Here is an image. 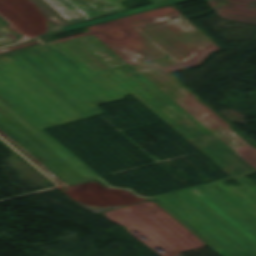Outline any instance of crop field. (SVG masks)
<instances>
[{"instance_id":"obj_1","label":"crop field","mask_w":256,"mask_h":256,"mask_svg":"<svg viewBox=\"0 0 256 256\" xmlns=\"http://www.w3.org/2000/svg\"><path fill=\"white\" fill-rule=\"evenodd\" d=\"M128 93L243 185L217 182L159 199L228 256H256V184L245 176L256 171L95 37L0 55V107L80 180L98 175L42 129L103 113L96 105Z\"/></svg>"},{"instance_id":"obj_2","label":"crop field","mask_w":256,"mask_h":256,"mask_svg":"<svg viewBox=\"0 0 256 256\" xmlns=\"http://www.w3.org/2000/svg\"><path fill=\"white\" fill-rule=\"evenodd\" d=\"M87 29L130 66L170 56L133 69L256 170V148L168 74L199 65L211 52L220 50L183 15L165 7Z\"/></svg>"},{"instance_id":"obj_3","label":"crop field","mask_w":256,"mask_h":256,"mask_svg":"<svg viewBox=\"0 0 256 256\" xmlns=\"http://www.w3.org/2000/svg\"><path fill=\"white\" fill-rule=\"evenodd\" d=\"M11 4H13L15 7H17L19 10H21L23 13H25L27 16H29L31 19H33L35 22H46L47 19L44 15L39 13V8L35 6L31 1L29 0H7ZM39 2L43 7H45L48 11H50L54 16H56L59 20L63 22L61 24L62 28L61 30H58L56 32L46 34L43 36H39L37 38L89 26L92 24H96L99 22L107 21L110 19H114L117 17L125 16V14L119 10L117 7H115L113 4H111L108 0H69L73 5H75L79 10H81L85 15H87L89 18L84 16L81 12H79L74 6H72L68 1L66 0H60L65 5H67L69 8H71L74 12H76L79 16H81L83 19H80L77 17L74 13H72L69 9H67L65 6H63L60 2L57 0H45L48 2L51 6H53L55 9H57L61 15H63L68 21H66L64 18H62L56 11H54L47 3H45L43 0H36ZM117 12L118 14L112 15L109 17H105L96 21L91 22H85V23H79L75 25H71L68 27H65L64 25H68L71 23L87 20L93 17L109 14ZM60 26V27H61Z\"/></svg>"},{"instance_id":"obj_4","label":"crop field","mask_w":256,"mask_h":256,"mask_svg":"<svg viewBox=\"0 0 256 256\" xmlns=\"http://www.w3.org/2000/svg\"><path fill=\"white\" fill-rule=\"evenodd\" d=\"M0 128L65 182L70 183L79 180L42 150L44 148H48V146H46L42 141H40L36 136H34L1 108ZM25 141L29 142L30 146Z\"/></svg>"},{"instance_id":"obj_5","label":"crop field","mask_w":256,"mask_h":256,"mask_svg":"<svg viewBox=\"0 0 256 256\" xmlns=\"http://www.w3.org/2000/svg\"><path fill=\"white\" fill-rule=\"evenodd\" d=\"M157 202L161 207H163L167 212H169L173 217H175L179 222H181L185 227H187L191 232H193L197 237H199L203 242H205L209 247H211L215 252H217L220 256H227L224 252H222L218 247H216L213 243H211L207 238H205L202 234H200L196 229H194L190 224H188L185 220H183L179 215H177L174 211H172L168 206H166L162 201L158 198L153 199Z\"/></svg>"},{"instance_id":"obj_6","label":"crop field","mask_w":256,"mask_h":256,"mask_svg":"<svg viewBox=\"0 0 256 256\" xmlns=\"http://www.w3.org/2000/svg\"><path fill=\"white\" fill-rule=\"evenodd\" d=\"M19 37L9 25L0 20V45L15 42Z\"/></svg>"},{"instance_id":"obj_7","label":"crop field","mask_w":256,"mask_h":256,"mask_svg":"<svg viewBox=\"0 0 256 256\" xmlns=\"http://www.w3.org/2000/svg\"><path fill=\"white\" fill-rule=\"evenodd\" d=\"M0 135L4 137L8 142H12L17 147H19L21 150H23L28 156H30L36 164H38L43 170H45L50 176H52L57 182H59L61 185L66 184L63 181L59 180L57 176H55L53 173H51L45 166H43L39 161H37L32 155H30L26 150H24L19 144H17L15 141H13L7 134H5L3 131H0Z\"/></svg>"},{"instance_id":"obj_8","label":"crop field","mask_w":256,"mask_h":256,"mask_svg":"<svg viewBox=\"0 0 256 256\" xmlns=\"http://www.w3.org/2000/svg\"><path fill=\"white\" fill-rule=\"evenodd\" d=\"M183 1H187V0H166V1H163V2L155 3L156 5L151 4V5L143 6V7H140V8L132 9V10H129V11H125L124 13L126 15H128V14H132V13H136V12L156 8V7H159V6L175 4V3H179V2H183Z\"/></svg>"},{"instance_id":"obj_9","label":"crop field","mask_w":256,"mask_h":256,"mask_svg":"<svg viewBox=\"0 0 256 256\" xmlns=\"http://www.w3.org/2000/svg\"><path fill=\"white\" fill-rule=\"evenodd\" d=\"M34 45H38V43L36 41H34V42L19 45V46L7 48V49H4V50H0V54L10 52V51H14V50H18V49H22V48H26V47H30V46H34Z\"/></svg>"},{"instance_id":"obj_10","label":"crop field","mask_w":256,"mask_h":256,"mask_svg":"<svg viewBox=\"0 0 256 256\" xmlns=\"http://www.w3.org/2000/svg\"><path fill=\"white\" fill-rule=\"evenodd\" d=\"M110 2H112L114 5H116L118 8H120L121 10L126 9L124 6H122L119 2L121 1H125V0H109ZM153 3L155 2H159L162 0H151Z\"/></svg>"}]
</instances>
